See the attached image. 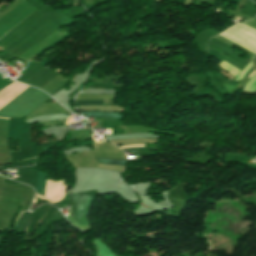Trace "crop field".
I'll return each instance as SVG.
<instances>
[{"label": "crop field", "mask_w": 256, "mask_h": 256, "mask_svg": "<svg viewBox=\"0 0 256 256\" xmlns=\"http://www.w3.org/2000/svg\"><path fill=\"white\" fill-rule=\"evenodd\" d=\"M50 96L30 87L0 111V117L23 118L44 103Z\"/></svg>", "instance_id": "crop-field-1"}, {"label": "crop field", "mask_w": 256, "mask_h": 256, "mask_svg": "<svg viewBox=\"0 0 256 256\" xmlns=\"http://www.w3.org/2000/svg\"><path fill=\"white\" fill-rule=\"evenodd\" d=\"M45 183H46V174L37 171V186H36V194H35L36 197H39L42 199Z\"/></svg>", "instance_id": "crop-field-2"}, {"label": "crop field", "mask_w": 256, "mask_h": 256, "mask_svg": "<svg viewBox=\"0 0 256 256\" xmlns=\"http://www.w3.org/2000/svg\"><path fill=\"white\" fill-rule=\"evenodd\" d=\"M84 117H114L122 118L118 113H107V112H82Z\"/></svg>", "instance_id": "crop-field-3"}, {"label": "crop field", "mask_w": 256, "mask_h": 256, "mask_svg": "<svg viewBox=\"0 0 256 256\" xmlns=\"http://www.w3.org/2000/svg\"><path fill=\"white\" fill-rule=\"evenodd\" d=\"M101 163L105 164H113V165H121L124 166L126 163V160H118V159H102V158H96Z\"/></svg>", "instance_id": "crop-field-4"}, {"label": "crop field", "mask_w": 256, "mask_h": 256, "mask_svg": "<svg viewBox=\"0 0 256 256\" xmlns=\"http://www.w3.org/2000/svg\"><path fill=\"white\" fill-rule=\"evenodd\" d=\"M76 105H103L102 100H76Z\"/></svg>", "instance_id": "crop-field-5"}, {"label": "crop field", "mask_w": 256, "mask_h": 256, "mask_svg": "<svg viewBox=\"0 0 256 256\" xmlns=\"http://www.w3.org/2000/svg\"><path fill=\"white\" fill-rule=\"evenodd\" d=\"M138 146H144V145H138ZM126 147H134V146H122L120 148H126ZM128 149H144V147L126 148V149H123V150H128Z\"/></svg>", "instance_id": "crop-field-6"}, {"label": "crop field", "mask_w": 256, "mask_h": 256, "mask_svg": "<svg viewBox=\"0 0 256 256\" xmlns=\"http://www.w3.org/2000/svg\"><path fill=\"white\" fill-rule=\"evenodd\" d=\"M78 4V0H74V5H77Z\"/></svg>", "instance_id": "crop-field-7"}]
</instances>
